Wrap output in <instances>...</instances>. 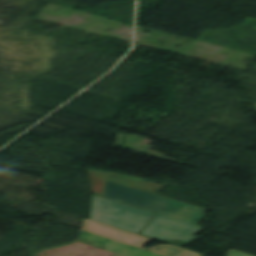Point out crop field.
Listing matches in <instances>:
<instances>
[{
  "label": "crop field",
  "mask_w": 256,
  "mask_h": 256,
  "mask_svg": "<svg viewBox=\"0 0 256 256\" xmlns=\"http://www.w3.org/2000/svg\"><path fill=\"white\" fill-rule=\"evenodd\" d=\"M79 241L123 256H162L84 231Z\"/></svg>",
  "instance_id": "crop-field-4"
},
{
  "label": "crop field",
  "mask_w": 256,
  "mask_h": 256,
  "mask_svg": "<svg viewBox=\"0 0 256 256\" xmlns=\"http://www.w3.org/2000/svg\"><path fill=\"white\" fill-rule=\"evenodd\" d=\"M228 256H251V255L231 250L229 251Z\"/></svg>",
  "instance_id": "crop-field-6"
},
{
  "label": "crop field",
  "mask_w": 256,
  "mask_h": 256,
  "mask_svg": "<svg viewBox=\"0 0 256 256\" xmlns=\"http://www.w3.org/2000/svg\"><path fill=\"white\" fill-rule=\"evenodd\" d=\"M162 187L141 178L109 172L103 196L189 222L199 220V207L153 195Z\"/></svg>",
  "instance_id": "crop-field-1"
},
{
  "label": "crop field",
  "mask_w": 256,
  "mask_h": 256,
  "mask_svg": "<svg viewBox=\"0 0 256 256\" xmlns=\"http://www.w3.org/2000/svg\"><path fill=\"white\" fill-rule=\"evenodd\" d=\"M89 175L93 191L95 193H101L107 174L90 170Z\"/></svg>",
  "instance_id": "crop-field-5"
},
{
  "label": "crop field",
  "mask_w": 256,
  "mask_h": 256,
  "mask_svg": "<svg viewBox=\"0 0 256 256\" xmlns=\"http://www.w3.org/2000/svg\"><path fill=\"white\" fill-rule=\"evenodd\" d=\"M200 230L197 225L155 214L141 234L160 240L180 239L189 242L197 238L192 235Z\"/></svg>",
  "instance_id": "crop-field-3"
},
{
  "label": "crop field",
  "mask_w": 256,
  "mask_h": 256,
  "mask_svg": "<svg viewBox=\"0 0 256 256\" xmlns=\"http://www.w3.org/2000/svg\"><path fill=\"white\" fill-rule=\"evenodd\" d=\"M184 256H203V255H200V254H198V253H195V252L190 251V252H188L187 254H185Z\"/></svg>",
  "instance_id": "crop-field-7"
},
{
  "label": "crop field",
  "mask_w": 256,
  "mask_h": 256,
  "mask_svg": "<svg viewBox=\"0 0 256 256\" xmlns=\"http://www.w3.org/2000/svg\"><path fill=\"white\" fill-rule=\"evenodd\" d=\"M115 256H120V255L115 254Z\"/></svg>",
  "instance_id": "crop-field-8"
},
{
  "label": "crop field",
  "mask_w": 256,
  "mask_h": 256,
  "mask_svg": "<svg viewBox=\"0 0 256 256\" xmlns=\"http://www.w3.org/2000/svg\"><path fill=\"white\" fill-rule=\"evenodd\" d=\"M153 214L94 195L90 219L138 234Z\"/></svg>",
  "instance_id": "crop-field-2"
}]
</instances>
